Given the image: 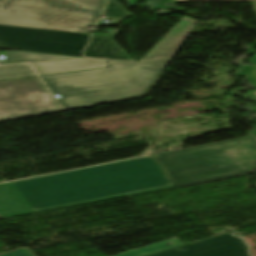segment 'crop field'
Segmentation results:
<instances>
[{"label":"crop field","mask_w":256,"mask_h":256,"mask_svg":"<svg viewBox=\"0 0 256 256\" xmlns=\"http://www.w3.org/2000/svg\"><path fill=\"white\" fill-rule=\"evenodd\" d=\"M140 0H128V4L133 5L137 3ZM148 3V5L152 8L153 11L158 10V9H174L181 11L183 9L179 8H172V7H166L163 4L167 1H174V2H188V1H193V0H144ZM245 1H256V0H245Z\"/></svg>","instance_id":"crop-field-15"},{"label":"crop field","mask_w":256,"mask_h":256,"mask_svg":"<svg viewBox=\"0 0 256 256\" xmlns=\"http://www.w3.org/2000/svg\"><path fill=\"white\" fill-rule=\"evenodd\" d=\"M102 15L109 17L112 22H121L126 17L132 16L131 13L115 0H108V4Z\"/></svg>","instance_id":"crop-field-14"},{"label":"crop field","mask_w":256,"mask_h":256,"mask_svg":"<svg viewBox=\"0 0 256 256\" xmlns=\"http://www.w3.org/2000/svg\"><path fill=\"white\" fill-rule=\"evenodd\" d=\"M241 69L244 71L243 74H249L251 76L250 78H248V80H250L251 84L256 86V78L251 73V71L256 69V67H254V66H243ZM243 74H240V75H243Z\"/></svg>","instance_id":"crop-field-16"},{"label":"crop field","mask_w":256,"mask_h":256,"mask_svg":"<svg viewBox=\"0 0 256 256\" xmlns=\"http://www.w3.org/2000/svg\"><path fill=\"white\" fill-rule=\"evenodd\" d=\"M252 73H253V74H254V76L256 77V70H254ZM248 94H250V95H252V96L256 97V91L249 92ZM255 109H256V107H255Z\"/></svg>","instance_id":"crop-field-17"},{"label":"crop field","mask_w":256,"mask_h":256,"mask_svg":"<svg viewBox=\"0 0 256 256\" xmlns=\"http://www.w3.org/2000/svg\"><path fill=\"white\" fill-rule=\"evenodd\" d=\"M180 248L186 250L180 252L177 250ZM250 248L246 240L235 230L147 256H252Z\"/></svg>","instance_id":"crop-field-6"},{"label":"crop field","mask_w":256,"mask_h":256,"mask_svg":"<svg viewBox=\"0 0 256 256\" xmlns=\"http://www.w3.org/2000/svg\"><path fill=\"white\" fill-rule=\"evenodd\" d=\"M60 110L38 77L0 82V120Z\"/></svg>","instance_id":"crop-field-5"},{"label":"crop field","mask_w":256,"mask_h":256,"mask_svg":"<svg viewBox=\"0 0 256 256\" xmlns=\"http://www.w3.org/2000/svg\"><path fill=\"white\" fill-rule=\"evenodd\" d=\"M252 5H253V7H254V9L256 11V2H252Z\"/></svg>","instance_id":"crop-field-19"},{"label":"crop field","mask_w":256,"mask_h":256,"mask_svg":"<svg viewBox=\"0 0 256 256\" xmlns=\"http://www.w3.org/2000/svg\"><path fill=\"white\" fill-rule=\"evenodd\" d=\"M110 35H94L84 53L85 56L132 61L112 40L118 30H110Z\"/></svg>","instance_id":"crop-field-8"},{"label":"crop field","mask_w":256,"mask_h":256,"mask_svg":"<svg viewBox=\"0 0 256 256\" xmlns=\"http://www.w3.org/2000/svg\"><path fill=\"white\" fill-rule=\"evenodd\" d=\"M104 0H0V48L80 56Z\"/></svg>","instance_id":"crop-field-2"},{"label":"crop field","mask_w":256,"mask_h":256,"mask_svg":"<svg viewBox=\"0 0 256 256\" xmlns=\"http://www.w3.org/2000/svg\"><path fill=\"white\" fill-rule=\"evenodd\" d=\"M36 75L29 64L0 66V80Z\"/></svg>","instance_id":"crop-field-13"},{"label":"crop field","mask_w":256,"mask_h":256,"mask_svg":"<svg viewBox=\"0 0 256 256\" xmlns=\"http://www.w3.org/2000/svg\"><path fill=\"white\" fill-rule=\"evenodd\" d=\"M171 59L139 65L108 62V69L43 76L65 110L146 97Z\"/></svg>","instance_id":"crop-field-3"},{"label":"crop field","mask_w":256,"mask_h":256,"mask_svg":"<svg viewBox=\"0 0 256 256\" xmlns=\"http://www.w3.org/2000/svg\"><path fill=\"white\" fill-rule=\"evenodd\" d=\"M256 135V133H254Z\"/></svg>","instance_id":"crop-field-20"},{"label":"crop field","mask_w":256,"mask_h":256,"mask_svg":"<svg viewBox=\"0 0 256 256\" xmlns=\"http://www.w3.org/2000/svg\"><path fill=\"white\" fill-rule=\"evenodd\" d=\"M248 62H250V63L256 65V56L253 57V58H251Z\"/></svg>","instance_id":"crop-field-18"},{"label":"crop field","mask_w":256,"mask_h":256,"mask_svg":"<svg viewBox=\"0 0 256 256\" xmlns=\"http://www.w3.org/2000/svg\"><path fill=\"white\" fill-rule=\"evenodd\" d=\"M240 139L151 155L173 185L181 187L247 175L222 148L242 144Z\"/></svg>","instance_id":"crop-field-4"},{"label":"crop field","mask_w":256,"mask_h":256,"mask_svg":"<svg viewBox=\"0 0 256 256\" xmlns=\"http://www.w3.org/2000/svg\"><path fill=\"white\" fill-rule=\"evenodd\" d=\"M152 159L140 158L0 184V217L172 188Z\"/></svg>","instance_id":"crop-field-1"},{"label":"crop field","mask_w":256,"mask_h":256,"mask_svg":"<svg viewBox=\"0 0 256 256\" xmlns=\"http://www.w3.org/2000/svg\"><path fill=\"white\" fill-rule=\"evenodd\" d=\"M5 56H6V60H1L0 65L76 58V57L58 56V55H50V54L23 52V51L5 52Z\"/></svg>","instance_id":"crop-field-12"},{"label":"crop field","mask_w":256,"mask_h":256,"mask_svg":"<svg viewBox=\"0 0 256 256\" xmlns=\"http://www.w3.org/2000/svg\"><path fill=\"white\" fill-rule=\"evenodd\" d=\"M242 145L225 148L224 150L237 161L249 174L256 172V140L253 137L241 138Z\"/></svg>","instance_id":"crop-field-10"},{"label":"crop field","mask_w":256,"mask_h":256,"mask_svg":"<svg viewBox=\"0 0 256 256\" xmlns=\"http://www.w3.org/2000/svg\"><path fill=\"white\" fill-rule=\"evenodd\" d=\"M196 21L185 16L141 61L173 57Z\"/></svg>","instance_id":"crop-field-7"},{"label":"crop field","mask_w":256,"mask_h":256,"mask_svg":"<svg viewBox=\"0 0 256 256\" xmlns=\"http://www.w3.org/2000/svg\"><path fill=\"white\" fill-rule=\"evenodd\" d=\"M39 75L62 73L94 68L106 67V61L92 59H76L64 61H52L32 64Z\"/></svg>","instance_id":"crop-field-9"},{"label":"crop field","mask_w":256,"mask_h":256,"mask_svg":"<svg viewBox=\"0 0 256 256\" xmlns=\"http://www.w3.org/2000/svg\"><path fill=\"white\" fill-rule=\"evenodd\" d=\"M170 243H172L170 246H164V245L170 244ZM181 244H182L181 241L178 239V237H176L173 239H169V240H166V241H163L160 243H156V244H153V245H150L147 247H143V248L133 250L130 252H126L123 254H119L116 256H144V255H147L150 253L161 251V250L171 248V247L181 245ZM0 256H35V255L33 253H31L27 248H25V249L13 251V252H10L7 254H3Z\"/></svg>","instance_id":"crop-field-11"}]
</instances>
